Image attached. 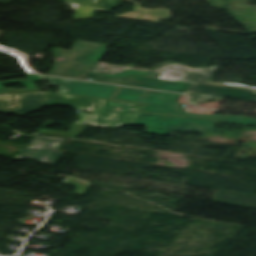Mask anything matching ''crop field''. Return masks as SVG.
I'll return each mask as SVG.
<instances>
[{
	"mask_svg": "<svg viewBox=\"0 0 256 256\" xmlns=\"http://www.w3.org/2000/svg\"><path fill=\"white\" fill-rule=\"evenodd\" d=\"M107 45L77 41L71 51L55 48L53 55L66 58L57 61L49 74L64 76L69 68L89 71L86 77L95 79L96 82L121 85L127 75L159 78L160 74L128 70L114 75L93 73L100 57ZM128 77V76H127Z\"/></svg>",
	"mask_w": 256,
	"mask_h": 256,
	"instance_id": "8a807250",
	"label": "crop field"
},
{
	"mask_svg": "<svg viewBox=\"0 0 256 256\" xmlns=\"http://www.w3.org/2000/svg\"><path fill=\"white\" fill-rule=\"evenodd\" d=\"M218 68L219 66H214L206 68L202 72L186 74L182 81L193 83L186 93L204 96L234 97L239 100L256 102L255 88L211 82Z\"/></svg>",
	"mask_w": 256,
	"mask_h": 256,
	"instance_id": "ac0d7876",
	"label": "crop field"
},
{
	"mask_svg": "<svg viewBox=\"0 0 256 256\" xmlns=\"http://www.w3.org/2000/svg\"><path fill=\"white\" fill-rule=\"evenodd\" d=\"M179 97L178 94L148 90L140 101L141 104H144L141 111L183 117L213 118L215 122L256 124V120L238 116L185 114L181 105L175 104Z\"/></svg>",
	"mask_w": 256,
	"mask_h": 256,
	"instance_id": "34b2d1b8",
	"label": "crop field"
},
{
	"mask_svg": "<svg viewBox=\"0 0 256 256\" xmlns=\"http://www.w3.org/2000/svg\"><path fill=\"white\" fill-rule=\"evenodd\" d=\"M141 106L99 99L87 125L111 128L134 125Z\"/></svg>",
	"mask_w": 256,
	"mask_h": 256,
	"instance_id": "412701ff",
	"label": "crop field"
},
{
	"mask_svg": "<svg viewBox=\"0 0 256 256\" xmlns=\"http://www.w3.org/2000/svg\"><path fill=\"white\" fill-rule=\"evenodd\" d=\"M135 125L147 126L148 134L167 136L169 131L204 132L213 129L211 120L184 119L152 114L139 113Z\"/></svg>",
	"mask_w": 256,
	"mask_h": 256,
	"instance_id": "f4fd0767",
	"label": "crop field"
},
{
	"mask_svg": "<svg viewBox=\"0 0 256 256\" xmlns=\"http://www.w3.org/2000/svg\"><path fill=\"white\" fill-rule=\"evenodd\" d=\"M45 78L51 81V84L48 86H60L58 92L87 97L110 99L119 88L118 86L87 81L59 79L50 77Z\"/></svg>",
	"mask_w": 256,
	"mask_h": 256,
	"instance_id": "dd49c442",
	"label": "crop field"
},
{
	"mask_svg": "<svg viewBox=\"0 0 256 256\" xmlns=\"http://www.w3.org/2000/svg\"><path fill=\"white\" fill-rule=\"evenodd\" d=\"M16 101V110H4L0 112H16L20 115L32 113L40 110L43 100L45 98V92L14 94ZM14 108L11 94L0 95V109Z\"/></svg>",
	"mask_w": 256,
	"mask_h": 256,
	"instance_id": "e52e79f7",
	"label": "crop field"
},
{
	"mask_svg": "<svg viewBox=\"0 0 256 256\" xmlns=\"http://www.w3.org/2000/svg\"><path fill=\"white\" fill-rule=\"evenodd\" d=\"M96 101L97 99L94 98L61 95L47 92L43 108L50 106H67L72 107L75 110L91 112Z\"/></svg>",
	"mask_w": 256,
	"mask_h": 256,
	"instance_id": "d8731c3e",
	"label": "crop field"
},
{
	"mask_svg": "<svg viewBox=\"0 0 256 256\" xmlns=\"http://www.w3.org/2000/svg\"><path fill=\"white\" fill-rule=\"evenodd\" d=\"M124 85L185 93L191 84L170 80L129 76Z\"/></svg>",
	"mask_w": 256,
	"mask_h": 256,
	"instance_id": "5a996713",
	"label": "crop field"
},
{
	"mask_svg": "<svg viewBox=\"0 0 256 256\" xmlns=\"http://www.w3.org/2000/svg\"><path fill=\"white\" fill-rule=\"evenodd\" d=\"M61 2H70L80 4L74 18L94 17L96 10L110 12L114 7L121 6V0H59Z\"/></svg>",
	"mask_w": 256,
	"mask_h": 256,
	"instance_id": "3316defc",
	"label": "crop field"
},
{
	"mask_svg": "<svg viewBox=\"0 0 256 256\" xmlns=\"http://www.w3.org/2000/svg\"><path fill=\"white\" fill-rule=\"evenodd\" d=\"M63 152L31 147L24 149L15 159H23L25 157L55 164Z\"/></svg>",
	"mask_w": 256,
	"mask_h": 256,
	"instance_id": "28ad6ade",
	"label": "crop field"
},
{
	"mask_svg": "<svg viewBox=\"0 0 256 256\" xmlns=\"http://www.w3.org/2000/svg\"><path fill=\"white\" fill-rule=\"evenodd\" d=\"M135 3V7L133 10L145 12L140 19L159 22L160 19H168L170 17V11L167 9H149V8H141L139 2L134 0H126Z\"/></svg>",
	"mask_w": 256,
	"mask_h": 256,
	"instance_id": "d1516ede",
	"label": "crop field"
},
{
	"mask_svg": "<svg viewBox=\"0 0 256 256\" xmlns=\"http://www.w3.org/2000/svg\"><path fill=\"white\" fill-rule=\"evenodd\" d=\"M147 90L120 87L111 99L139 103Z\"/></svg>",
	"mask_w": 256,
	"mask_h": 256,
	"instance_id": "22f410ed",
	"label": "crop field"
},
{
	"mask_svg": "<svg viewBox=\"0 0 256 256\" xmlns=\"http://www.w3.org/2000/svg\"><path fill=\"white\" fill-rule=\"evenodd\" d=\"M63 141L62 138L38 136L34 137L29 145L58 150Z\"/></svg>",
	"mask_w": 256,
	"mask_h": 256,
	"instance_id": "cbeb9de0",
	"label": "crop field"
},
{
	"mask_svg": "<svg viewBox=\"0 0 256 256\" xmlns=\"http://www.w3.org/2000/svg\"><path fill=\"white\" fill-rule=\"evenodd\" d=\"M84 127L85 126L74 125L70 133L48 131V130H44V129H40L39 132L44 133V134L73 138V137L79 135L80 133H82Z\"/></svg>",
	"mask_w": 256,
	"mask_h": 256,
	"instance_id": "5142ce71",
	"label": "crop field"
},
{
	"mask_svg": "<svg viewBox=\"0 0 256 256\" xmlns=\"http://www.w3.org/2000/svg\"><path fill=\"white\" fill-rule=\"evenodd\" d=\"M18 75H27L28 78H27V80H15V81L2 82L3 85H11V84H21L23 86H25V85H35L34 82L41 81V79L37 75H31V74H18ZM18 75L5 76V77H1V78L4 79V78L18 76Z\"/></svg>",
	"mask_w": 256,
	"mask_h": 256,
	"instance_id": "d9b57169",
	"label": "crop field"
},
{
	"mask_svg": "<svg viewBox=\"0 0 256 256\" xmlns=\"http://www.w3.org/2000/svg\"><path fill=\"white\" fill-rule=\"evenodd\" d=\"M35 90H38L37 86H26V88L23 89V90H14L12 88L7 89L0 82V94L26 92V91H35Z\"/></svg>",
	"mask_w": 256,
	"mask_h": 256,
	"instance_id": "733c2abd",
	"label": "crop field"
},
{
	"mask_svg": "<svg viewBox=\"0 0 256 256\" xmlns=\"http://www.w3.org/2000/svg\"><path fill=\"white\" fill-rule=\"evenodd\" d=\"M86 74H87V72H84V71L69 69L68 72L65 74V76L88 80L87 78H84ZM92 81H93V79H92Z\"/></svg>",
	"mask_w": 256,
	"mask_h": 256,
	"instance_id": "4a817a6b",
	"label": "crop field"
},
{
	"mask_svg": "<svg viewBox=\"0 0 256 256\" xmlns=\"http://www.w3.org/2000/svg\"><path fill=\"white\" fill-rule=\"evenodd\" d=\"M219 99H221V98L196 96L191 100V102L194 104H200L203 102L219 100Z\"/></svg>",
	"mask_w": 256,
	"mask_h": 256,
	"instance_id": "bc2a9ffb",
	"label": "crop field"
},
{
	"mask_svg": "<svg viewBox=\"0 0 256 256\" xmlns=\"http://www.w3.org/2000/svg\"><path fill=\"white\" fill-rule=\"evenodd\" d=\"M91 114L79 113V120L75 124L86 125Z\"/></svg>",
	"mask_w": 256,
	"mask_h": 256,
	"instance_id": "214f88e0",
	"label": "crop field"
},
{
	"mask_svg": "<svg viewBox=\"0 0 256 256\" xmlns=\"http://www.w3.org/2000/svg\"><path fill=\"white\" fill-rule=\"evenodd\" d=\"M141 14L142 13H138V12H130V13L123 14V15L118 14L116 16L138 19Z\"/></svg>",
	"mask_w": 256,
	"mask_h": 256,
	"instance_id": "92a150f3",
	"label": "crop field"
}]
</instances>
